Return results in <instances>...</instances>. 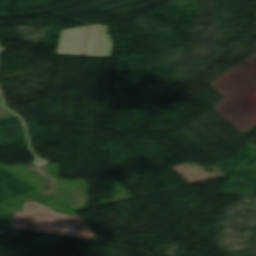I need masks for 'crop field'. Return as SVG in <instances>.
Wrapping results in <instances>:
<instances>
[{"instance_id": "8a807250", "label": "crop field", "mask_w": 256, "mask_h": 256, "mask_svg": "<svg viewBox=\"0 0 256 256\" xmlns=\"http://www.w3.org/2000/svg\"><path fill=\"white\" fill-rule=\"evenodd\" d=\"M108 27L86 26L62 31L57 53L110 57L112 40L107 35ZM85 56V55H83Z\"/></svg>"}]
</instances>
